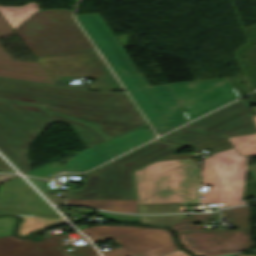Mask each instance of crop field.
<instances>
[{
  "label": "crop field",
  "mask_w": 256,
  "mask_h": 256,
  "mask_svg": "<svg viewBox=\"0 0 256 256\" xmlns=\"http://www.w3.org/2000/svg\"><path fill=\"white\" fill-rule=\"evenodd\" d=\"M71 13V10L36 12L14 30L34 57L94 48Z\"/></svg>",
  "instance_id": "6"
},
{
  "label": "crop field",
  "mask_w": 256,
  "mask_h": 256,
  "mask_svg": "<svg viewBox=\"0 0 256 256\" xmlns=\"http://www.w3.org/2000/svg\"><path fill=\"white\" fill-rule=\"evenodd\" d=\"M123 247L103 251L104 256H159L179 249L169 232L155 228L118 238H114Z\"/></svg>",
  "instance_id": "14"
},
{
  "label": "crop field",
  "mask_w": 256,
  "mask_h": 256,
  "mask_svg": "<svg viewBox=\"0 0 256 256\" xmlns=\"http://www.w3.org/2000/svg\"><path fill=\"white\" fill-rule=\"evenodd\" d=\"M247 97H248V102H249V104H250V105H255L253 96L250 94V95H248Z\"/></svg>",
  "instance_id": "36"
},
{
  "label": "crop field",
  "mask_w": 256,
  "mask_h": 256,
  "mask_svg": "<svg viewBox=\"0 0 256 256\" xmlns=\"http://www.w3.org/2000/svg\"><path fill=\"white\" fill-rule=\"evenodd\" d=\"M246 173L245 156L237 154L235 149L213 154L202 161V185L208 187L201 193L203 204L229 203L230 187L243 186Z\"/></svg>",
  "instance_id": "10"
},
{
  "label": "crop field",
  "mask_w": 256,
  "mask_h": 256,
  "mask_svg": "<svg viewBox=\"0 0 256 256\" xmlns=\"http://www.w3.org/2000/svg\"><path fill=\"white\" fill-rule=\"evenodd\" d=\"M62 255L57 251V249H53V250H47V251L22 254L17 256H62Z\"/></svg>",
  "instance_id": "28"
},
{
  "label": "crop field",
  "mask_w": 256,
  "mask_h": 256,
  "mask_svg": "<svg viewBox=\"0 0 256 256\" xmlns=\"http://www.w3.org/2000/svg\"><path fill=\"white\" fill-rule=\"evenodd\" d=\"M68 235H58L44 239L42 242L32 243L29 240H18L14 236L0 238V256L26 253L46 248L65 246L63 238ZM60 242H57V241Z\"/></svg>",
  "instance_id": "16"
},
{
  "label": "crop field",
  "mask_w": 256,
  "mask_h": 256,
  "mask_svg": "<svg viewBox=\"0 0 256 256\" xmlns=\"http://www.w3.org/2000/svg\"><path fill=\"white\" fill-rule=\"evenodd\" d=\"M163 256H191V255L179 249L175 252H172Z\"/></svg>",
  "instance_id": "32"
},
{
  "label": "crop field",
  "mask_w": 256,
  "mask_h": 256,
  "mask_svg": "<svg viewBox=\"0 0 256 256\" xmlns=\"http://www.w3.org/2000/svg\"><path fill=\"white\" fill-rule=\"evenodd\" d=\"M252 132H256V126L249 104L239 99L156 140L190 146L201 140Z\"/></svg>",
  "instance_id": "7"
},
{
  "label": "crop field",
  "mask_w": 256,
  "mask_h": 256,
  "mask_svg": "<svg viewBox=\"0 0 256 256\" xmlns=\"http://www.w3.org/2000/svg\"><path fill=\"white\" fill-rule=\"evenodd\" d=\"M240 256H243V255H240ZM250 256H253V255H250Z\"/></svg>",
  "instance_id": "38"
},
{
  "label": "crop field",
  "mask_w": 256,
  "mask_h": 256,
  "mask_svg": "<svg viewBox=\"0 0 256 256\" xmlns=\"http://www.w3.org/2000/svg\"><path fill=\"white\" fill-rule=\"evenodd\" d=\"M11 177H14L13 175H0V182L8 179V178H11Z\"/></svg>",
  "instance_id": "35"
},
{
  "label": "crop field",
  "mask_w": 256,
  "mask_h": 256,
  "mask_svg": "<svg viewBox=\"0 0 256 256\" xmlns=\"http://www.w3.org/2000/svg\"><path fill=\"white\" fill-rule=\"evenodd\" d=\"M187 215L170 228L176 232L180 245L197 256L242 251L254 246L249 238L250 227L227 231L226 228L203 230V225H194L210 223V219H219V212Z\"/></svg>",
  "instance_id": "8"
},
{
  "label": "crop field",
  "mask_w": 256,
  "mask_h": 256,
  "mask_svg": "<svg viewBox=\"0 0 256 256\" xmlns=\"http://www.w3.org/2000/svg\"><path fill=\"white\" fill-rule=\"evenodd\" d=\"M182 148L152 141L85 173L81 188L66 190L67 199H136L133 171Z\"/></svg>",
  "instance_id": "4"
},
{
  "label": "crop field",
  "mask_w": 256,
  "mask_h": 256,
  "mask_svg": "<svg viewBox=\"0 0 256 256\" xmlns=\"http://www.w3.org/2000/svg\"><path fill=\"white\" fill-rule=\"evenodd\" d=\"M222 217H230L234 227L249 225V206L232 208L222 211Z\"/></svg>",
  "instance_id": "22"
},
{
  "label": "crop field",
  "mask_w": 256,
  "mask_h": 256,
  "mask_svg": "<svg viewBox=\"0 0 256 256\" xmlns=\"http://www.w3.org/2000/svg\"><path fill=\"white\" fill-rule=\"evenodd\" d=\"M150 228L131 227V226H95L80 230L88 235L94 243L114 237L146 230Z\"/></svg>",
  "instance_id": "17"
},
{
  "label": "crop field",
  "mask_w": 256,
  "mask_h": 256,
  "mask_svg": "<svg viewBox=\"0 0 256 256\" xmlns=\"http://www.w3.org/2000/svg\"><path fill=\"white\" fill-rule=\"evenodd\" d=\"M137 204H197L199 171L192 159L157 161L134 171Z\"/></svg>",
  "instance_id": "5"
},
{
  "label": "crop field",
  "mask_w": 256,
  "mask_h": 256,
  "mask_svg": "<svg viewBox=\"0 0 256 256\" xmlns=\"http://www.w3.org/2000/svg\"><path fill=\"white\" fill-rule=\"evenodd\" d=\"M169 86L189 121L238 98L228 78Z\"/></svg>",
  "instance_id": "11"
},
{
  "label": "crop field",
  "mask_w": 256,
  "mask_h": 256,
  "mask_svg": "<svg viewBox=\"0 0 256 256\" xmlns=\"http://www.w3.org/2000/svg\"><path fill=\"white\" fill-rule=\"evenodd\" d=\"M36 59L55 85L84 89L83 85H69L67 80L88 77L96 79V82L87 85L91 89L123 91L95 49Z\"/></svg>",
  "instance_id": "9"
},
{
  "label": "crop field",
  "mask_w": 256,
  "mask_h": 256,
  "mask_svg": "<svg viewBox=\"0 0 256 256\" xmlns=\"http://www.w3.org/2000/svg\"><path fill=\"white\" fill-rule=\"evenodd\" d=\"M39 11L38 4L29 2L18 7L0 6V13L14 29L33 13Z\"/></svg>",
  "instance_id": "19"
},
{
  "label": "crop field",
  "mask_w": 256,
  "mask_h": 256,
  "mask_svg": "<svg viewBox=\"0 0 256 256\" xmlns=\"http://www.w3.org/2000/svg\"><path fill=\"white\" fill-rule=\"evenodd\" d=\"M67 203L88 205L109 211L138 213L136 200H67Z\"/></svg>",
  "instance_id": "18"
},
{
  "label": "crop field",
  "mask_w": 256,
  "mask_h": 256,
  "mask_svg": "<svg viewBox=\"0 0 256 256\" xmlns=\"http://www.w3.org/2000/svg\"><path fill=\"white\" fill-rule=\"evenodd\" d=\"M137 207L139 209V213L179 212L178 203L137 205Z\"/></svg>",
  "instance_id": "24"
},
{
  "label": "crop field",
  "mask_w": 256,
  "mask_h": 256,
  "mask_svg": "<svg viewBox=\"0 0 256 256\" xmlns=\"http://www.w3.org/2000/svg\"><path fill=\"white\" fill-rule=\"evenodd\" d=\"M0 171L1 172H15L1 157H0Z\"/></svg>",
  "instance_id": "31"
},
{
  "label": "crop field",
  "mask_w": 256,
  "mask_h": 256,
  "mask_svg": "<svg viewBox=\"0 0 256 256\" xmlns=\"http://www.w3.org/2000/svg\"><path fill=\"white\" fill-rule=\"evenodd\" d=\"M253 94H255V95H256V92H255V93H253Z\"/></svg>",
  "instance_id": "39"
},
{
  "label": "crop field",
  "mask_w": 256,
  "mask_h": 256,
  "mask_svg": "<svg viewBox=\"0 0 256 256\" xmlns=\"http://www.w3.org/2000/svg\"><path fill=\"white\" fill-rule=\"evenodd\" d=\"M92 247H91V245H89V246L73 249V251L75 253H77L79 256H92V255H96L97 253L95 252V250Z\"/></svg>",
  "instance_id": "29"
},
{
  "label": "crop field",
  "mask_w": 256,
  "mask_h": 256,
  "mask_svg": "<svg viewBox=\"0 0 256 256\" xmlns=\"http://www.w3.org/2000/svg\"><path fill=\"white\" fill-rule=\"evenodd\" d=\"M243 187L231 188L230 204L227 207L240 204Z\"/></svg>",
  "instance_id": "27"
},
{
  "label": "crop field",
  "mask_w": 256,
  "mask_h": 256,
  "mask_svg": "<svg viewBox=\"0 0 256 256\" xmlns=\"http://www.w3.org/2000/svg\"><path fill=\"white\" fill-rule=\"evenodd\" d=\"M59 250V252L61 254H63L64 256H78L77 254H75L72 250L71 251H67L65 250L63 247L57 248Z\"/></svg>",
  "instance_id": "34"
},
{
  "label": "crop field",
  "mask_w": 256,
  "mask_h": 256,
  "mask_svg": "<svg viewBox=\"0 0 256 256\" xmlns=\"http://www.w3.org/2000/svg\"><path fill=\"white\" fill-rule=\"evenodd\" d=\"M185 214L164 215V216H141L140 223L147 225L172 226L180 219L184 218Z\"/></svg>",
  "instance_id": "23"
},
{
  "label": "crop field",
  "mask_w": 256,
  "mask_h": 256,
  "mask_svg": "<svg viewBox=\"0 0 256 256\" xmlns=\"http://www.w3.org/2000/svg\"><path fill=\"white\" fill-rule=\"evenodd\" d=\"M154 137L150 129L137 128L75 154L68 159L62 171H85Z\"/></svg>",
  "instance_id": "12"
},
{
  "label": "crop field",
  "mask_w": 256,
  "mask_h": 256,
  "mask_svg": "<svg viewBox=\"0 0 256 256\" xmlns=\"http://www.w3.org/2000/svg\"><path fill=\"white\" fill-rule=\"evenodd\" d=\"M67 123L86 147L108 138L94 126L46 111L34 105L0 100V151L23 174L33 162L27 158L29 144L52 122Z\"/></svg>",
  "instance_id": "3"
},
{
  "label": "crop field",
  "mask_w": 256,
  "mask_h": 256,
  "mask_svg": "<svg viewBox=\"0 0 256 256\" xmlns=\"http://www.w3.org/2000/svg\"><path fill=\"white\" fill-rule=\"evenodd\" d=\"M121 56L123 57L124 61L126 62V64L128 65L129 69L131 70V72L133 73L134 77H142L143 75L141 73H137L134 66L132 65L129 57L127 56L126 52L120 53Z\"/></svg>",
  "instance_id": "30"
},
{
  "label": "crop field",
  "mask_w": 256,
  "mask_h": 256,
  "mask_svg": "<svg viewBox=\"0 0 256 256\" xmlns=\"http://www.w3.org/2000/svg\"><path fill=\"white\" fill-rule=\"evenodd\" d=\"M15 218L0 217V237L12 234Z\"/></svg>",
  "instance_id": "26"
},
{
  "label": "crop field",
  "mask_w": 256,
  "mask_h": 256,
  "mask_svg": "<svg viewBox=\"0 0 256 256\" xmlns=\"http://www.w3.org/2000/svg\"><path fill=\"white\" fill-rule=\"evenodd\" d=\"M20 217L23 221L19 224L17 232L19 235H27L32 231L44 229L50 225L58 224L60 222H65L63 218Z\"/></svg>",
  "instance_id": "20"
},
{
  "label": "crop field",
  "mask_w": 256,
  "mask_h": 256,
  "mask_svg": "<svg viewBox=\"0 0 256 256\" xmlns=\"http://www.w3.org/2000/svg\"><path fill=\"white\" fill-rule=\"evenodd\" d=\"M239 154L256 155V134L229 138Z\"/></svg>",
  "instance_id": "21"
},
{
  "label": "crop field",
  "mask_w": 256,
  "mask_h": 256,
  "mask_svg": "<svg viewBox=\"0 0 256 256\" xmlns=\"http://www.w3.org/2000/svg\"><path fill=\"white\" fill-rule=\"evenodd\" d=\"M249 174L251 175L253 181H256V165L247 167Z\"/></svg>",
  "instance_id": "33"
},
{
  "label": "crop field",
  "mask_w": 256,
  "mask_h": 256,
  "mask_svg": "<svg viewBox=\"0 0 256 256\" xmlns=\"http://www.w3.org/2000/svg\"><path fill=\"white\" fill-rule=\"evenodd\" d=\"M75 16L158 135L188 121L168 84L150 86L145 77H133L119 54L124 49L97 14Z\"/></svg>",
  "instance_id": "2"
},
{
  "label": "crop field",
  "mask_w": 256,
  "mask_h": 256,
  "mask_svg": "<svg viewBox=\"0 0 256 256\" xmlns=\"http://www.w3.org/2000/svg\"><path fill=\"white\" fill-rule=\"evenodd\" d=\"M254 117V120H255V123H256V116H253Z\"/></svg>",
  "instance_id": "37"
},
{
  "label": "crop field",
  "mask_w": 256,
  "mask_h": 256,
  "mask_svg": "<svg viewBox=\"0 0 256 256\" xmlns=\"http://www.w3.org/2000/svg\"><path fill=\"white\" fill-rule=\"evenodd\" d=\"M62 217L20 176L0 186V215Z\"/></svg>",
  "instance_id": "13"
},
{
  "label": "crop field",
  "mask_w": 256,
  "mask_h": 256,
  "mask_svg": "<svg viewBox=\"0 0 256 256\" xmlns=\"http://www.w3.org/2000/svg\"><path fill=\"white\" fill-rule=\"evenodd\" d=\"M63 166L53 162L51 164L45 165L33 171L26 173V175L44 177V178H53L61 171Z\"/></svg>",
  "instance_id": "25"
},
{
  "label": "crop field",
  "mask_w": 256,
  "mask_h": 256,
  "mask_svg": "<svg viewBox=\"0 0 256 256\" xmlns=\"http://www.w3.org/2000/svg\"><path fill=\"white\" fill-rule=\"evenodd\" d=\"M0 99L34 104L86 121L109 139L147 124L125 93H98L0 77Z\"/></svg>",
  "instance_id": "1"
},
{
  "label": "crop field",
  "mask_w": 256,
  "mask_h": 256,
  "mask_svg": "<svg viewBox=\"0 0 256 256\" xmlns=\"http://www.w3.org/2000/svg\"><path fill=\"white\" fill-rule=\"evenodd\" d=\"M2 17V16H1ZM0 17V38L13 34V31ZM0 76L26 81L53 84L38 63L13 61L0 47Z\"/></svg>",
  "instance_id": "15"
}]
</instances>
